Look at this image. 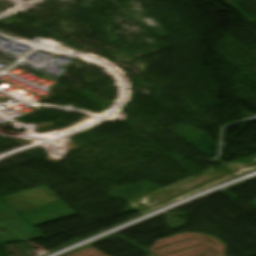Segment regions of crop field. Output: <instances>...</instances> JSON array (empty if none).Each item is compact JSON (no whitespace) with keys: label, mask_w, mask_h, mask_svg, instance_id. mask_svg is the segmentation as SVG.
Listing matches in <instances>:
<instances>
[{"label":"crop field","mask_w":256,"mask_h":256,"mask_svg":"<svg viewBox=\"0 0 256 256\" xmlns=\"http://www.w3.org/2000/svg\"><path fill=\"white\" fill-rule=\"evenodd\" d=\"M0 228L6 229L7 233L0 235V242L31 241L41 236L25 221L14 209L0 200Z\"/></svg>","instance_id":"ac0d7876"},{"label":"crop field","mask_w":256,"mask_h":256,"mask_svg":"<svg viewBox=\"0 0 256 256\" xmlns=\"http://www.w3.org/2000/svg\"><path fill=\"white\" fill-rule=\"evenodd\" d=\"M1 199L19 211L33 227L76 215L44 186Z\"/></svg>","instance_id":"8a807250"}]
</instances>
